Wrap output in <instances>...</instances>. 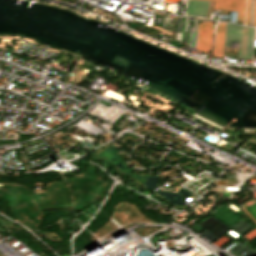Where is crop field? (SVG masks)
<instances>
[{"label":"crop field","instance_id":"crop-field-4","mask_svg":"<svg viewBox=\"0 0 256 256\" xmlns=\"http://www.w3.org/2000/svg\"><path fill=\"white\" fill-rule=\"evenodd\" d=\"M208 3L206 0H188L186 15L206 18Z\"/></svg>","mask_w":256,"mask_h":256},{"label":"crop field","instance_id":"crop-field-7","mask_svg":"<svg viewBox=\"0 0 256 256\" xmlns=\"http://www.w3.org/2000/svg\"><path fill=\"white\" fill-rule=\"evenodd\" d=\"M253 26H256V0L254 5V19H253Z\"/></svg>","mask_w":256,"mask_h":256},{"label":"crop field","instance_id":"crop-field-1","mask_svg":"<svg viewBox=\"0 0 256 256\" xmlns=\"http://www.w3.org/2000/svg\"><path fill=\"white\" fill-rule=\"evenodd\" d=\"M253 28L227 23L224 47L239 41L237 59H251Z\"/></svg>","mask_w":256,"mask_h":256},{"label":"crop field","instance_id":"crop-field-5","mask_svg":"<svg viewBox=\"0 0 256 256\" xmlns=\"http://www.w3.org/2000/svg\"><path fill=\"white\" fill-rule=\"evenodd\" d=\"M225 27H226V23H220L217 26V33H216V38H215L214 47H213V55L220 56V57L223 56Z\"/></svg>","mask_w":256,"mask_h":256},{"label":"crop field","instance_id":"crop-field-6","mask_svg":"<svg viewBox=\"0 0 256 256\" xmlns=\"http://www.w3.org/2000/svg\"><path fill=\"white\" fill-rule=\"evenodd\" d=\"M249 15H250V0H248L247 4V18H246V24L249 25Z\"/></svg>","mask_w":256,"mask_h":256},{"label":"crop field","instance_id":"crop-field-3","mask_svg":"<svg viewBox=\"0 0 256 256\" xmlns=\"http://www.w3.org/2000/svg\"><path fill=\"white\" fill-rule=\"evenodd\" d=\"M245 0H215V10L238 11L237 21L243 23Z\"/></svg>","mask_w":256,"mask_h":256},{"label":"crop field","instance_id":"crop-field-2","mask_svg":"<svg viewBox=\"0 0 256 256\" xmlns=\"http://www.w3.org/2000/svg\"><path fill=\"white\" fill-rule=\"evenodd\" d=\"M213 23H200L198 29L196 49L207 53L211 46ZM204 39H202V38Z\"/></svg>","mask_w":256,"mask_h":256}]
</instances>
